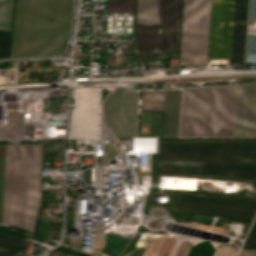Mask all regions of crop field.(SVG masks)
Instances as JSON below:
<instances>
[{
	"label": "crop field",
	"mask_w": 256,
	"mask_h": 256,
	"mask_svg": "<svg viewBox=\"0 0 256 256\" xmlns=\"http://www.w3.org/2000/svg\"><path fill=\"white\" fill-rule=\"evenodd\" d=\"M21 114L9 113L7 125H0V134L9 137H18Z\"/></svg>",
	"instance_id": "obj_10"
},
{
	"label": "crop field",
	"mask_w": 256,
	"mask_h": 256,
	"mask_svg": "<svg viewBox=\"0 0 256 256\" xmlns=\"http://www.w3.org/2000/svg\"><path fill=\"white\" fill-rule=\"evenodd\" d=\"M70 0H17L11 56L64 47Z\"/></svg>",
	"instance_id": "obj_3"
},
{
	"label": "crop field",
	"mask_w": 256,
	"mask_h": 256,
	"mask_svg": "<svg viewBox=\"0 0 256 256\" xmlns=\"http://www.w3.org/2000/svg\"><path fill=\"white\" fill-rule=\"evenodd\" d=\"M236 137H256V82L239 85Z\"/></svg>",
	"instance_id": "obj_7"
},
{
	"label": "crop field",
	"mask_w": 256,
	"mask_h": 256,
	"mask_svg": "<svg viewBox=\"0 0 256 256\" xmlns=\"http://www.w3.org/2000/svg\"><path fill=\"white\" fill-rule=\"evenodd\" d=\"M246 0H236L231 64L242 63Z\"/></svg>",
	"instance_id": "obj_8"
},
{
	"label": "crop field",
	"mask_w": 256,
	"mask_h": 256,
	"mask_svg": "<svg viewBox=\"0 0 256 256\" xmlns=\"http://www.w3.org/2000/svg\"><path fill=\"white\" fill-rule=\"evenodd\" d=\"M238 256H256V250H241Z\"/></svg>",
	"instance_id": "obj_14"
},
{
	"label": "crop field",
	"mask_w": 256,
	"mask_h": 256,
	"mask_svg": "<svg viewBox=\"0 0 256 256\" xmlns=\"http://www.w3.org/2000/svg\"><path fill=\"white\" fill-rule=\"evenodd\" d=\"M180 90L142 92V111H165L164 136L176 137L178 131Z\"/></svg>",
	"instance_id": "obj_6"
},
{
	"label": "crop field",
	"mask_w": 256,
	"mask_h": 256,
	"mask_svg": "<svg viewBox=\"0 0 256 256\" xmlns=\"http://www.w3.org/2000/svg\"><path fill=\"white\" fill-rule=\"evenodd\" d=\"M134 0H109L108 13L133 12Z\"/></svg>",
	"instance_id": "obj_12"
},
{
	"label": "crop field",
	"mask_w": 256,
	"mask_h": 256,
	"mask_svg": "<svg viewBox=\"0 0 256 256\" xmlns=\"http://www.w3.org/2000/svg\"><path fill=\"white\" fill-rule=\"evenodd\" d=\"M181 0H138L134 52L177 50Z\"/></svg>",
	"instance_id": "obj_5"
},
{
	"label": "crop field",
	"mask_w": 256,
	"mask_h": 256,
	"mask_svg": "<svg viewBox=\"0 0 256 256\" xmlns=\"http://www.w3.org/2000/svg\"><path fill=\"white\" fill-rule=\"evenodd\" d=\"M235 0H187L182 65L230 63Z\"/></svg>",
	"instance_id": "obj_2"
},
{
	"label": "crop field",
	"mask_w": 256,
	"mask_h": 256,
	"mask_svg": "<svg viewBox=\"0 0 256 256\" xmlns=\"http://www.w3.org/2000/svg\"><path fill=\"white\" fill-rule=\"evenodd\" d=\"M6 144H0V224ZM42 143L7 144L3 224L35 231L41 205Z\"/></svg>",
	"instance_id": "obj_1"
},
{
	"label": "crop field",
	"mask_w": 256,
	"mask_h": 256,
	"mask_svg": "<svg viewBox=\"0 0 256 256\" xmlns=\"http://www.w3.org/2000/svg\"><path fill=\"white\" fill-rule=\"evenodd\" d=\"M242 248H256V220Z\"/></svg>",
	"instance_id": "obj_13"
},
{
	"label": "crop field",
	"mask_w": 256,
	"mask_h": 256,
	"mask_svg": "<svg viewBox=\"0 0 256 256\" xmlns=\"http://www.w3.org/2000/svg\"><path fill=\"white\" fill-rule=\"evenodd\" d=\"M27 242L0 233V256H13L20 252Z\"/></svg>",
	"instance_id": "obj_9"
},
{
	"label": "crop field",
	"mask_w": 256,
	"mask_h": 256,
	"mask_svg": "<svg viewBox=\"0 0 256 256\" xmlns=\"http://www.w3.org/2000/svg\"><path fill=\"white\" fill-rule=\"evenodd\" d=\"M13 0H0V30L10 31Z\"/></svg>",
	"instance_id": "obj_11"
},
{
	"label": "crop field",
	"mask_w": 256,
	"mask_h": 256,
	"mask_svg": "<svg viewBox=\"0 0 256 256\" xmlns=\"http://www.w3.org/2000/svg\"><path fill=\"white\" fill-rule=\"evenodd\" d=\"M238 85L184 88L180 137H235Z\"/></svg>",
	"instance_id": "obj_4"
}]
</instances>
